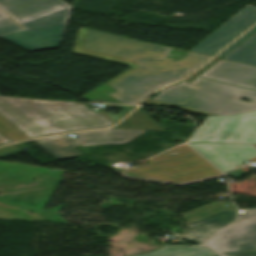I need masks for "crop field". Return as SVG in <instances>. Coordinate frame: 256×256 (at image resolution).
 I'll list each match as a JSON object with an SVG mask.
<instances>
[{
	"label": "crop field",
	"instance_id": "e52e79f7",
	"mask_svg": "<svg viewBox=\"0 0 256 256\" xmlns=\"http://www.w3.org/2000/svg\"><path fill=\"white\" fill-rule=\"evenodd\" d=\"M144 130L110 129L77 133L78 138L67 135L34 140L58 160L80 155L73 147L107 143H124L132 140Z\"/></svg>",
	"mask_w": 256,
	"mask_h": 256
},
{
	"label": "crop field",
	"instance_id": "d1516ede",
	"mask_svg": "<svg viewBox=\"0 0 256 256\" xmlns=\"http://www.w3.org/2000/svg\"><path fill=\"white\" fill-rule=\"evenodd\" d=\"M236 210H228L207 218H203L188 223L193 231L182 233L188 241L202 243L210 235L232 222L235 218Z\"/></svg>",
	"mask_w": 256,
	"mask_h": 256
},
{
	"label": "crop field",
	"instance_id": "ac0d7876",
	"mask_svg": "<svg viewBox=\"0 0 256 256\" xmlns=\"http://www.w3.org/2000/svg\"><path fill=\"white\" fill-rule=\"evenodd\" d=\"M0 38L28 51L58 48L71 8L62 0H0Z\"/></svg>",
	"mask_w": 256,
	"mask_h": 256
},
{
	"label": "crop field",
	"instance_id": "f4fd0767",
	"mask_svg": "<svg viewBox=\"0 0 256 256\" xmlns=\"http://www.w3.org/2000/svg\"><path fill=\"white\" fill-rule=\"evenodd\" d=\"M118 173L126 178L178 186L224 177L187 145L149 159L148 166Z\"/></svg>",
	"mask_w": 256,
	"mask_h": 256
},
{
	"label": "crop field",
	"instance_id": "8a807250",
	"mask_svg": "<svg viewBox=\"0 0 256 256\" xmlns=\"http://www.w3.org/2000/svg\"><path fill=\"white\" fill-rule=\"evenodd\" d=\"M169 50V47L80 27L72 53L128 66L129 70L106 84L117 90L109 96L136 104L157 88L179 80L210 59L188 53L176 61L166 58Z\"/></svg>",
	"mask_w": 256,
	"mask_h": 256
},
{
	"label": "crop field",
	"instance_id": "5142ce71",
	"mask_svg": "<svg viewBox=\"0 0 256 256\" xmlns=\"http://www.w3.org/2000/svg\"><path fill=\"white\" fill-rule=\"evenodd\" d=\"M115 128L163 130L140 107Z\"/></svg>",
	"mask_w": 256,
	"mask_h": 256
},
{
	"label": "crop field",
	"instance_id": "22f410ed",
	"mask_svg": "<svg viewBox=\"0 0 256 256\" xmlns=\"http://www.w3.org/2000/svg\"><path fill=\"white\" fill-rule=\"evenodd\" d=\"M137 256H215V254L204 246L165 245L154 252Z\"/></svg>",
	"mask_w": 256,
	"mask_h": 256
},
{
	"label": "crop field",
	"instance_id": "214f88e0",
	"mask_svg": "<svg viewBox=\"0 0 256 256\" xmlns=\"http://www.w3.org/2000/svg\"><path fill=\"white\" fill-rule=\"evenodd\" d=\"M216 60H218V58L213 59L211 62H209L208 64H206L204 67H202L198 72L194 73L193 75L189 76L188 78H186L185 80H189L191 81L195 76H197L199 73H201L203 70H205L207 67H209L212 63H214Z\"/></svg>",
	"mask_w": 256,
	"mask_h": 256
},
{
	"label": "crop field",
	"instance_id": "34b2d1b8",
	"mask_svg": "<svg viewBox=\"0 0 256 256\" xmlns=\"http://www.w3.org/2000/svg\"><path fill=\"white\" fill-rule=\"evenodd\" d=\"M0 114L29 138L112 125L101 112L60 101L0 97Z\"/></svg>",
	"mask_w": 256,
	"mask_h": 256
},
{
	"label": "crop field",
	"instance_id": "00972430",
	"mask_svg": "<svg viewBox=\"0 0 256 256\" xmlns=\"http://www.w3.org/2000/svg\"><path fill=\"white\" fill-rule=\"evenodd\" d=\"M10 141H8L6 138H4L2 135H0V144H4V143H9Z\"/></svg>",
	"mask_w": 256,
	"mask_h": 256
},
{
	"label": "crop field",
	"instance_id": "4a817a6b",
	"mask_svg": "<svg viewBox=\"0 0 256 256\" xmlns=\"http://www.w3.org/2000/svg\"><path fill=\"white\" fill-rule=\"evenodd\" d=\"M256 31V27H254L252 30H250L248 33H246L244 36H242L239 40H237L235 43H233L230 47H228L225 51H223L221 54H219L220 56H223L224 54H226L229 50H231L234 46H236L239 42H241L243 39H245L246 37H248L249 35H251L252 33H254Z\"/></svg>",
	"mask_w": 256,
	"mask_h": 256
},
{
	"label": "crop field",
	"instance_id": "cbeb9de0",
	"mask_svg": "<svg viewBox=\"0 0 256 256\" xmlns=\"http://www.w3.org/2000/svg\"><path fill=\"white\" fill-rule=\"evenodd\" d=\"M223 58L256 66V33Z\"/></svg>",
	"mask_w": 256,
	"mask_h": 256
},
{
	"label": "crop field",
	"instance_id": "5a996713",
	"mask_svg": "<svg viewBox=\"0 0 256 256\" xmlns=\"http://www.w3.org/2000/svg\"><path fill=\"white\" fill-rule=\"evenodd\" d=\"M256 22V7L246 6L196 45L191 52L212 56Z\"/></svg>",
	"mask_w": 256,
	"mask_h": 256
},
{
	"label": "crop field",
	"instance_id": "d9b57169",
	"mask_svg": "<svg viewBox=\"0 0 256 256\" xmlns=\"http://www.w3.org/2000/svg\"><path fill=\"white\" fill-rule=\"evenodd\" d=\"M0 132L13 141L28 139L21 131L0 115Z\"/></svg>",
	"mask_w": 256,
	"mask_h": 256
},
{
	"label": "crop field",
	"instance_id": "28ad6ade",
	"mask_svg": "<svg viewBox=\"0 0 256 256\" xmlns=\"http://www.w3.org/2000/svg\"><path fill=\"white\" fill-rule=\"evenodd\" d=\"M199 77L256 90V67L220 59Z\"/></svg>",
	"mask_w": 256,
	"mask_h": 256
},
{
	"label": "crop field",
	"instance_id": "bc2a9ffb",
	"mask_svg": "<svg viewBox=\"0 0 256 256\" xmlns=\"http://www.w3.org/2000/svg\"><path fill=\"white\" fill-rule=\"evenodd\" d=\"M17 151H21V150L14 145L2 147L0 148V156L17 152Z\"/></svg>",
	"mask_w": 256,
	"mask_h": 256
},
{
	"label": "crop field",
	"instance_id": "92a150f3",
	"mask_svg": "<svg viewBox=\"0 0 256 256\" xmlns=\"http://www.w3.org/2000/svg\"><path fill=\"white\" fill-rule=\"evenodd\" d=\"M227 175H229V176H231V177H234V178H236V179H238L240 176H242V174H240V173H238V172H236V171H233V172H231V173H229V174H227Z\"/></svg>",
	"mask_w": 256,
	"mask_h": 256
},
{
	"label": "crop field",
	"instance_id": "412701ff",
	"mask_svg": "<svg viewBox=\"0 0 256 256\" xmlns=\"http://www.w3.org/2000/svg\"><path fill=\"white\" fill-rule=\"evenodd\" d=\"M240 98L252 100L251 103ZM147 104L179 107L183 111L206 115H233L256 110V91L197 77L163 89Z\"/></svg>",
	"mask_w": 256,
	"mask_h": 256
},
{
	"label": "crop field",
	"instance_id": "dd49c442",
	"mask_svg": "<svg viewBox=\"0 0 256 256\" xmlns=\"http://www.w3.org/2000/svg\"><path fill=\"white\" fill-rule=\"evenodd\" d=\"M189 142L256 144V111L233 116H208Z\"/></svg>",
	"mask_w": 256,
	"mask_h": 256
},
{
	"label": "crop field",
	"instance_id": "3316defc",
	"mask_svg": "<svg viewBox=\"0 0 256 256\" xmlns=\"http://www.w3.org/2000/svg\"><path fill=\"white\" fill-rule=\"evenodd\" d=\"M190 146L222 172L242 165L241 161L246 159L256 161V145L202 143Z\"/></svg>",
	"mask_w": 256,
	"mask_h": 256
},
{
	"label": "crop field",
	"instance_id": "733c2abd",
	"mask_svg": "<svg viewBox=\"0 0 256 256\" xmlns=\"http://www.w3.org/2000/svg\"><path fill=\"white\" fill-rule=\"evenodd\" d=\"M106 107L124 108L119 115H115L114 113H108V112L105 113L114 123H116L124 115H126L130 110H132L135 106L107 105Z\"/></svg>",
	"mask_w": 256,
	"mask_h": 256
},
{
	"label": "crop field",
	"instance_id": "d8731c3e",
	"mask_svg": "<svg viewBox=\"0 0 256 256\" xmlns=\"http://www.w3.org/2000/svg\"><path fill=\"white\" fill-rule=\"evenodd\" d=\"M205 245L217 254L256 251V209L239 210L236 221Z\"/></svg>",
	"mask_w": 256,
	"mask_h": 256
},
{
	"label": "crop field",
	"instance_id": "dafd665d",
	"mask_svg": "<svg viewBox=\"0 0 256 256\" xmlns=\"http://www.w3.org/2000/svg\"><path fill=\"white\" fill-rule=\"evenodd\" d=\"M221 256H256V253H251V254H234V255H221Z\"/></svg>",
	"mask_w": 256,
	"mask_h": 256
}]
</instances>
